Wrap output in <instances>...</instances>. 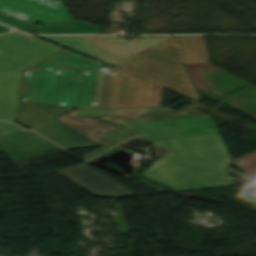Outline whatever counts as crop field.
Here are the masks:
<instances>
[{
	"label": "crop field",
	"mask_w": 256,
	"mask_h": 256,
	"mask_svg": "<svg viewBox=\"0 0 256 256\" xmlns=\"http://www.w3.org/2000/svg\"><path fill=\"white\" fill-rule=\"evenodd\" d=\"M70 110L21 100L18 122L67 149L101 146L57 120L56 116Z\"/></svg>",
	"instance_id": "crop-field-5"
},
{
	"label": "crop field",
	"mask_w": 256,
	"mask_h": 256,
	"mask_svg": "<svg viewBox=\"0 0 256 256\" xmlns=\"http://www.w3.org/2000/svg\"><path fill=\"white\" fill-rule=\"evenodd\" d=\"M20 32L0 35V119L14 122L22 70L61 51Z\"/></svg>",
	"instance_id": "crop-field-2"
},
{
	"label": "crop field",
	"mask_w": 256,
	"mask_h": 256,
	"mask_svg": "<svg viewBox=\"0 0 256 256\" xmlns=\"http://www.w3.org/2000/svg\"><path fill=\"white\" fill-rule=\"evenodd\" d=\"M97 118L137 133L144 140L217 132L210 116L193 108L180 112H156L133 119L120 116Z\"/></svg>",
	"instance_id": "crop-field-3"
},
{
	"label": "crop field",
	"mask_w": 256,
	"mask_h": 256,
	"mask_svg": "<svg viewBox=\"0 0 256 256\" xmlns=\"http://www.w3.org/2000/svg\"><path fill=\"white\" fill-rule=\"evenodd\" d=\"M55 172L98 197H125L137 195L84 163Z\"/></svg>",
	"instance_id": "crop-field-7"
},
{
	"label": "crop field",
	"mask_w": 256,
	"mask_h": 256,
	"mask_svg": "<svg viewBox=\"0 0 256 256\" xmlns=\"http://www.w3.org/2000/svg\"><path fill=\"white\" fill-rule=\"evenodd\" d=\"M197 107L201 108L202 105L185 106L177 111L185 108ZM155 111H175L167 107H146V108H113V109H88V110H74L68 115L73 117H84V116H97V115H121L127 118L139 117L143 114L155 112Z\"/></svg>",
	"instance_id": "crop-field-11"
},
{
	"label": "crop field",
	"mask_w": 256,
	"mask_h": 256,
	"mask_svg": "<svg viewBox=\"0 0 256 256\" xmlns=\"http://www.w3.org/2000/svg\"><path fill=\"white\" fill-rule=\"evenodd\" d=\"M247 174L244 176L256 181V151L240 158Z\"/></svg>",
	"instance_id": "crop-field-13"
},
{
	"label": "crop field",
	"mask_w": 256,
	"mask_h": 256,
	"mask_svg": "<svg viewBox=\"0 0 256 256\" xmlns=\"http://www.w3.org/2000/svg\"><path fill=\"white\" fill-rule=\"evenodd\" d=\"M114 133H116V135H114V136H112V137H110L108 139H105L106 137H108V136H110V135H112ZM125 133H127V134L122 136V137H120V138H118L119 136H121V135H123ZM130 136H132V134L130 132L125 131V130H123L121 128H118V129H116V130H114V131H112V132H110V133H108V134H106V135H104V136L99 138V140L107 143L105 146H103V147H101V148H99V149H97V150H95V151H93V152L83 156V158L88 159L91 156L101 152L102 150H104V149H106V148H108V147H110V146H112V145H114V144H116V143H118V142H120V141H122V140H124V139H126L128 137H130ZM116 138H118V139H116ZM114 139H116V140H114ZM112 140H114V141H112Z\"/></svg>",
	"instance_id": "crop-field-12"
},
{
	"label": "crop field",
	"mask_w": 256,
	"mask_h": 256,
	"mask_svg": "<svg viewBox=\"0 0 256 256\" xmlns=\"http://www.w3.org/2000/svg\"><path fill=\"white\" fill-rule=\"evenodd\" d=\"M255 201H256V200H255ZM255 201H254V202H255Z\"/></svg>",
	"instance_id": "crop-field-16"
},
{
	"label": "crop field",
	"mask_w": 256,
	"mask_h": 256,
	"mask_svg": "<svg viewBox=\"0 0 256 256\" xmlns=\"http://www.w3.org/2000/svg\"><path fill=\"white\" fill-rule=\"evenodd\" d=\"M55 148L31 131H17L0 136V151L11 160Z\"/></svg>",
	"instance_id": "crop-field-8"
},
{
	"label": "crop field",
	"mask_w": 256,
	"mask_h": 256,
	"mask_svg": "<svg viewBox=\"0 0 256 256\" xmlns=\"http://www.w3.org/2000/svg\"><path fill=\"white\" fill-rule=\"evenodd\" d=\"M58 120L62 121L63 123L69 125L70 127L74 128L75 130L79 131L80 133L84 134L85 136L91 138L92 140L96 141L97 143L101 144L102 146L105 144L97 138L117 127L108 125L106 123L98 124L95 119L92 117H85V118H73L68 116L67 114L58 116Z\"/></svg>",
	"instance_id": "crop-field-10"
},
{
	"label": "crop field",
	"mask_w": 256,
	"mask_h": 256,
	"mask_svg": "<svg viewBox=\"0 0 256 256\" xmlns=\"http://www.w3.org/2000/svg\"><path fill=\"white\" fill-rule=\"evenodd\" d=\"M8 30H10V29L7 28V27H5V26L0 25V33L6 32V31H8Z\"/></svg>",
	"instance_id": "crop-field-15"
},
{
	"label": "crop field",
	"mask_w": 256,
	"mask_h": 256,
	"mask_svg": "<svg viewBox=\"0 0 256 256\" xmlns=\"http://www.w3.org/2000/svg\"><path fill=\"white\" fill-rule=\"evenodd\" d=\"M21 130L20 128L16 127L13 124L6 123V122H0V135L10 133L13 131Z\"/></svg>",
	"instance_id": "crop-field-14"
},
{
	"label": "crop field",
	"mask_w": 256,
	"mask_h": 256,
	"mask_svg": "<svg viewBox=\"0 0 256 256\" xmlns=\"http://www.w3.org/2000/svg\"><path fill=\"white\" fill-rule=\"evenodd\" d=\"M0 12L30 24L36 21L46 24L71 18L60 0H0Z\"/></svg>",
	"instance_id": "crop-field-6"
},
{
	"label": "crop field",
	"mask_w": 256,
	"mask_h": 256,
	"mask_svg": "<svg viewBox=\"0 0 256 256\" xmlns=\"http://www.w3.org/2000/svg\"><path fill=\"white\" fill-rule=\"evenodd\" d=\"M96 59L112 67L138 55L171 36H143L144 39L123 40L117 36H38ZM141 41V43L134 42ZM123 41V43H121ZM145 47H142V46ZM113 64H116L114 66ZM123 64V63H122Z\"/></svg>",
	"instance_id": "crop-field-4"
},
{
	"label": "crop field",
	"mask_w": 256,
	"mask_h": 256,
	"mask_svg": "<svg viewBox=\"0 0 256 256\" xmlns=\"http://www.w3.org/2000/svg\"><path fill=\"white\" fill-rule=\"evenodd\" d=\"M148 142L171 153L153 162L143 175L178 190L234 185L225 170L232 161L218 133Z\"/></svg>",
	"instance_id": "crop-field-1"
},
{
	"label": "crop field",
	"mask_w": 256,
	"mask_h": 256,
	"mask_svg": "<svg viewBox=\"0 0 256 256\" xmlns=\"http://www.w3.org/2000/svg\"><path fill=\"white\" fill-rule=\"evenodd\" d=\"M0 22L32 33L80 34L93 33L103 28L76 19L35 27L9 15L0 13Z\"/></svg>",
	"instance_id": "crop-field-9"
}]
</instances>
